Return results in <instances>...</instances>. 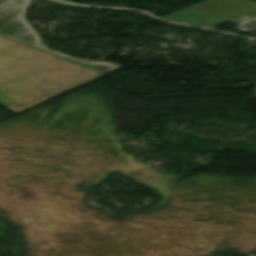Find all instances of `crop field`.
<instances>
[{
  "label": "crop field",
  "instance_id": "obj_1",
  "mask_svg": "<svg viewBox=\"0 0 256 256\" xmlns=\"http://www.w3.org/2000/svg\"><path fill=\"white\" fill-rule=\"evenodd\" d=\"M0 46V103L18 114L105 74L26 45Z\"/></svg>",
  "mask_w": 256,
  "mask_h": 256
},
{
  "label": "crop field",
  "instance_id": "obj_2",
  "mask_svg": "<svg viewBox=\"0 0 256 256\" xmlns=\"http://www.w3.org/2000/svg\"><path fill=\"white\" fill-rule=\"evenodd\" d=\"M163 19L209 28L231 22L239 25L237 31L256 32V4L249 0H208Z\"/></svg>",
  "mask_w": 256,
  "mask_h": 256
},
{
  "label": "crop field",
  "instance_id": "obj_3",
  "mask_svg": "<svg viewBox=\"0 0 256 256\" xmlns=\"http://www.w3.org/2000/svg\"><path fill=\"white\" fill-rule=\"evenodd\" d=\"M29 0H0V35L77 62L79 64L109 73L121 68L116 64L81 61L54 53L41 45L40 39L33 28L25 21L24 14L28 8Z\"/></svg>",
  "mask_w": 256,
  "mask_h": 256
},
{
  "label": "crop field",
  "instance_id": "obj_4",
  "mask_svg": "<svg viewBox=\"0 0 256 256\" xmlns=\"http://www.w3.org/2000/svg\"><path fill=\"white\" fill-rule=\"evenodd\" d=\"M4 43H6V42L0 41V45H2V44H4ZM6 44H7V43H6Z\"/></svg>",
  "mask_w": 256,
  "mask_h": 256
},
{
  "label": "crop field",
  "instance_id": "obj_5",
  "mask_svg": "<svg viewBox=\"0 0 256 256\" xmlns=\"http://www.w3.org/2000/svg\"><path fill=\"white\" fill-rule=\"evenodd\" d=\"M255 92H256V86H255Z\"/></svg>",
  "mask_w": 256,
  "mask_h": 256
},
{
  "label": "crop field",
  "instance_id": "obj_6",
  "mask_svg": "<svg viewBox=\"0 0 256 256\" xmlns=\"http://www.w3.org/2000/svg\"><path fill=\"white\" fill-rule=\"evenodd\" d=\"M255 97H256V94H255Z\"/></svg>",
  "mask_w": 256,
  "mask_h": 256
}]
</instances>
